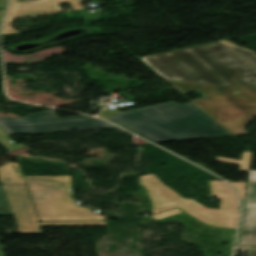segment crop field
Returning a JSON list of instances; mask_svg holds the SVG:
<instances>
[{
    "mask_svg": "<svg viewBox=\"0 0 256 256\" xmlns=\"http://www.w3.org/2000/svg\"><path fill=\"white\" fill-rule=\"evenodd\" d=\"M182 94L205 97L192 101L232 136L256 115V56L220 42L140 58Z\"/></svg>",
    "mask_w": 256,
    "mask_h": 256,
    "instance_id": "8a807250",
    "label": "crop field"
},
{
    "mask_svg": "<svg viewBox=\"0 0 256 256\" xmlns=\"http://www.w3.org/2000/svg\"><path fill=\"white\" fill-rule=\"evenodd\" d=\"M99 117L153 142L231 136L192 103L170 102L125 112L106 110Z\"/></svg>",
    "mask_w": 256,
    "mask_h": 256,
    "instance_id": "ac0d7876",
    "label": "crop field"
},
{
    "mask_svg": "<svg viewBox=\"0 0 256 256\" xmlns=\"http://www.w3.org/2000/svg\"><path fill=\"white\" fill-rule=\"evenodd\" d=\"M139 179L140 184L147 189L152 200L153 214L178 207L210 226L236 229L239 205L232 190L223 182H210L214 197L222 198L220 211H217L207 209L192 199L181 198L153 174L141 176Z\"/></svg>",
    "mask_w": 256,
    "mask_h": 256,
    "instance_id": "34b2d1b8",
    "label": "crop field"
},
{
    "mask_svg": "<svg viewBox=\"0 0 256 256\" xmlns=\"http://www.w3.org/2000/svg\"><path fill=\"white\" fill-rule=\"evenodd\" d=\"M24 178L40 221L105 220V216L74 203L70 176Z\"/></svg>",
    "mask_w": 256,
    "mask_h": 256,
    "instance_id": "412701ff",
    "label": "crop field"
},
{
    "mask_svg": "<svg viewBox=\"0 0 256 256\" xmlns=\"http://www.w3.org/2000/svg\"><path fill=\"white\" fill-rule=\"evenodd\" d=\"M113 126L109 123L87 117L59 118L54 109L20 119L0 118V144L7 152L25 148L14 143L8 135L21 133H51L67 130H85Z\"/></svg>",
    "mask_w": 256,
    "mask_h": 256,
    "instance_id": "f4fd0767",
    "label": "crop field"
},
{
    "mask_svg": "<svg viewBox=\"0 0 256 256\" xmlns=\"http://www.w3.org/2000/svg\"><path fill=\"white\" fill-rule=\"evenodd\" d=\"M3 186L20 234L41 233L26 186Z\"/></svg>",
    "mask_w": 256,
    "mask_h": 256,
    "instance_id": "dd49c442",
    "label": "crop field"
},
{
    "mask_svg": "<svg viewBox=\"0 0 256 256\" xmlns=\"http://www.w3.org/2000/svg\"><path fill=\"white\" fill-rule=\"evenodd\" d=\"M70 3L73 10L81 9V0H37L34 2H21L12 0L7 18L46 14L63 11L59 4Z\"/></svg>",
    "mask_w": 256,
    "mask_h": 256,
    "instance_id": "e52e79f7",
    "label": "crop field"
},
{
    "mask_svg": "<svg viewBox=\"0 0 256 256\" xmlns=\"http://www.w3.org/2000/svg\"><path fill=\"white\" fill-rule=\"evenodd\" d=\"M245 211L238 246L256 245V204L244 203Z\"/></svg>",
    "mask_w": 256,
    "mask_h": 256,
    "instance_id": "d8731c3e",
    "label": "crop field"
},
{
    "mask_svg": "<svg viewBox=\"0 0 256 256\" xmlns=\"http://www.w3.org/2000/svg\"><path fill=\"white\" fill-rule=\"evenodd\" d=\"M12 164L16 166V169H14ZM0 176L3 184L25 183L22 172L17 163L10 162L0 168Z\"/></svg>",
    "mask_w": 256,
    "mask_h": 256,
    "instance_id": "5a996713",
    "label": "crop field"
},
{
    "mask_svg": "<svg viewBox=\"0 0 256 256\" xmlns=\"http://www.w3.org/2000/svg\"><path fill=\"white\" fill-rule=\"evenodd\" d=\"M41 227L49 226H105V222H39Z\"/></svg>",
    "mask_w": 256,
    "mask_h": 256,
    "instance_id": "3316defc",
    "label": "crop field"
},
{
    "mask_svg": "<svg viewBox=\"0 0 256 256\" xmlns=\"http://www.w3.org/2000/svg\"><path fill=\"white\" fill-rule=\"evenodd\" d=\"M253 152H243L242 160L236 161L226 158L217 157L220 162H231L240 165V170L249 171L251 160H252Z\"/></svg>",
    "mask_w": 256,
    "mask_h": 256,
    "instance_id": "28ad6ade",
    "label": "crop field"
},
{
    "mask_svg": "<svg viewBox=\"0 0 256 256\" xmlns=\"http://www.w3.org/2000/svg\"><path fill=\"white\" fill-rule=\"evenodd\" d=\"M12 214L5 197L3 186L0 185V215Z\"/></svg>",
    "mask_w": 256,
    "mask_h": 256,
    "instance_id": "d1516ede",
    "label": "crop field"
},
{
    "mask_svg": "<svg viewBox=\"0 0 256 256\" xmlns=\"http://www.w3.org/2000/svg\"><path fill=\"white\" fill-rule=\"evenodd\" d=\"M245 202H254L256 203V182H249Z\"/></svg>",
    "mask_w": 256,
    "mask_h": 256,
    "instance_id": "22f410ed",
    "label": "crop field"
},
{
    "mask_svg": "<svg viewBox=\"0 0 256 256\" xmlns=\"http://www.w3.org/2000/svg\"><path fill=\"white\" fill-rule=\"evenodd\" d=\"M229 183L234 187V189L237 191V193L239 194V196L243 201L244 191H245L247 182H229Z\"/></svg>",
    "mask_w": 256,
    "mask_h": 256,
    "instance_id": "cbeb9de0",
    "label": "crop field"
},
{
    "mask_svg": "<svg viewBox=\"0 0 256 256\" xmlns=\"http://www.w3.org/2000/svg\"><path fill=\"white\" fill-rule=\"evenodd\" d=\"M13 23V20L6 21L2 34H13V33H19L15 28H13L11 25Z\"/></svg>",
    "mask_w": 256,
    "mask_h": 256,
    "instance_id": "5142ce71",
    "label": "crop field"
},
{
    "mask_svg": "<svg viewBox=\"0 0 256 256\" xmlns=\"http://www.w3.org/2000/svg\"><path fill=\"white\" fill-rule=\"evenodd\" d=\"M178 213H182L181 210L176 209V210H172V211H168V212H164V213H160V214H156V215H152L151 217L154 219H162L174 214H178Z\"/></svg>",
    "mask_w": 256,
    "mask_h": 256,
    "instance_id": "d9b57169",
    "label": "crop field"
},
{
    "mask_svg": "<svg viewBox=\"0 0 256 256\" xmlns=\"http://www.w3.org/2000/svg\"><path fill=\"white\" fill-rule=\"evenodd\" d=\"M249 180H256V172L255 171H250Z\"/></svg>",
    "mask_w": 256,
    "mask_h": 256,
    "instance_id": "733c2abd",
    "label": "crop field"
},
{
    "mask_svg": "<svg viewBox=\"0 0 256 256\" xmlns=\"http://www.w3.org/2000/svg\"><path fill=\"white\" fill-rule=\"evenodd\" d=\"M6 2H7V0H0V7H5Z\"/></svg>",
    "mask_w": 256,
    "mask_h": 256,
    "instance_id": "4a817a6b",
    "label": "crop field"
},
{
    "mask_svg": "<svg viewBox=\"0 0 256 256\" xmlns=\"http://www.w3.org/2000/svg\"><path fill=\"white\" fill-rule=\"evenodd\" d=\"M249 256H256V248H252V251Z\"/></svg>",
    "mask_w": 256,
    "mask_h": 256,
    "instance_id": "bc2a9ffb",
    "label": "crop field"
},
{
    "mask_svg": "<svg viewBox=\"0 0 256 256\" xmlns=\"http://www.w3.org/2000/svg\"><path fill=\"white\" fill-rule=\"evenodd\" d=\"M3 13H4V11H0V23L2 22Z\"/></svg>",
    "mask_w": 256,
    "mask_h": 256,
    "instance_id": "214f88e0",
    "label": "crop field"
},
{
    "mask_svg": "<svg viewBox=\"0 0 256 256\" xmlns=\"http://www.w3.org/2000/svg\"><path fill=\"white\" fill-rule=\"evenodd\" d=\"M227 44H229V45H235V44H233V43H231V42H229V41H225ZM236 46V45H235Z\"/></svg>",
    "mask_w": 256,
    "mask_h": 256,
    "instance_id": "92a150f3",
    "label": "crop field"
}]
</instances>
